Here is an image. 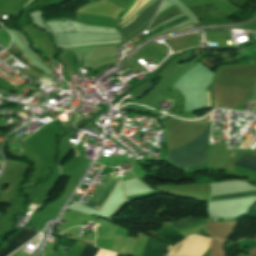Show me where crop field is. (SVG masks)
<instances>
[{
	"instance_id": "1",
	"label": "crop field",
	"mask_w": 256,
	"mask_h": 256,
	"mask_svg": "<svg viewBox=\"0 0 256 256\" xmlns=\"http://www.w3.org/2000/svg\"><path fill=\"white\" fill-rule=\"evenodd\" d=\"M210 129L211 123L208 128L193 141L170 150L167 161L179 168L204 163L206 159Z\"/></svg>"
},
{
	"instance_id": "2",
	"label": "crop field",
	"mask_w": 256,
	"mask_h": 256,
	"mask_svg": "<svg viewBox=\"0 0 256 256\" xmlns=\"http://www.w3.org/2000/svg\"><path fill=\"white\" fill-rule=\"evenodd\" d=\"M211 239L199 236H190L186 238L179 256H201L209 248Z\"/></svg>"
},
{
	"instance_id": "3",
	"label": "crop field",
	"mask_w": 256,
	"mask_h": 256,
	"mask_svg": "<svg viewBox=\"0 0 256 256\" xmlns=\"http://www.w3.org/2000/svg\"><path fill=\"white\" fill-rule=\"evenodd\" d=\"M36 234V230H33L31 228H25L20 233L10 238V245L7 248L3 247L2 249H0V256H3L7 253H11L19 246H21L23 243L34 237Z\"/></svg>"
},
{
	"instance_id": "4",
	"label": "crop field",
	"mask_w": 256,
	"mask_h": 256,
	"mask_svg": "<svg viewBox=\"0 0 256 256\" xmlns=\"http://www.w3.org/2000/svg\"><path fill=\"white\" fill-rule=\"evenodd\" d=\"M161 0H157L154 4H152L148 9L142 11L135 19L134 21L127 25L126 27L122 28L123 30L128 28L129 26H131L135 21H137L141 15L145 12H147L148 10H150L151 8H153L155 5H157L158 3H160ZM159 5V4H158ZM158 5L156 7H154L153 9H151L150 11H148L143 17H141L132 27L124 30L126 36L131 34L132 32H134L136 29H138L141 25H143L145 22L151 20V18L153 17V15L156 12V9L158 7Z\"/></svg>"
},
{
	"instance_id": "5",
	"label": "crop field",
	"mask_w": 256,
	"mask_h": 256,
	"mask_svg": "<svg viewBox=\"0 0 256 256\" xmlns=\"http://www.w3.org/2000/svg\"><path fill=\"white\" fill-rule=\"evenodd\" d=\"M167 245L168 244L162 241L147 237L146 246L142 256H164ZM169 247H171V245H168V248Z\"/></svg>"
},
{
	"instance_id": "6",
	"label": "crop field",
	"mask_w": 256,
	"mask_h": 256,
	"mask_svg": "<svg viewBox=\"0 0 256 256\" xmlns=\"http://www.w3.org/2000/svg\"><path fill=\"white\" fill-rule=\"evenodd\" d=\"M7 52L10 53L11 55H13L15 58H17L23 64H25V65L29 66L30 68H32L33 70L39 71L41 73L43 72L40 69H38L37 67H35L34 65H32L30 60H28V58L20 51V49L14 43H12V45L7 50Z\"/></svg>"
},
{
	"instance_id": "7",
	"label": "crop field",
	"mask_w": 256,
	"mask_h": 256,
	"mask_svg": "<svg viewBox=\"0 0 256 256\" xmlns=\"http://www.w3.org/2000/svg\"><path fill=\"white\" fill-rule=\"evenodd\" d=\"M97 251H98V248L85 245V247L82 250L80 256H94ZM116 256H125V255L116 254Z\"/></svg>"
},
{
	"instance_id": "8",
	"label": "crop field",
	"mask_w": 256,
	"mask_h": 256,
	"mask_svg": "<svg viewBox=\"0 0 256 256\" xmlns=\"http://www.w3.org/2000/svg\"><path fill=\"white\" fill-rule=\"evenodd\" d=\"M242 164L256 169V153L250 152L249 155L244 159Z\"/></svg>"
},
{
	"instance_id": "9",
	"label": "crop field",
	"mask_w": 256,
	"mask_h": 256,
	"mask_svg": "<svg viewBox=\"0 0 256 256\" xmlns=\"http://www.w3.org/2000/svg\"><path fill=\"white\" fill-rule=\"evenodd\" d=\"M179 13H181L180 10L174 11V12L170 13L169 15H167V16H165V17L159 19V20H157V21L154 22V23H152V26L155 25V24H157V23H159V22H161V21H163V20H165V19H167V18H169V17H171V16H173V15L179 14Z\"/></svg>"
},
{
	"instance_id": "10",
	"label": "crop field",
	"mask_w": 256,
	"mask_h": 256,
	"mask_svg": "<svg viewBox=\"0 0 256 256\" xmlns=\"http://www.w3.org/2000/svg\"><path fill=\"white\" fill-rule=\"evenodd\" d=\"M254 189H256V188L238 189V190H228V191H217V192H212L211 194L226 193V192H235V191H245V190H254Z\"/></svg>"
}]
</instances>
